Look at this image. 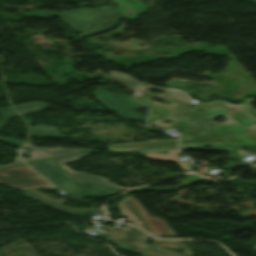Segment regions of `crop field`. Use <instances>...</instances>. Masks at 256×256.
I'll list each match as a JSON object with an SVG mask.
<instances>
[{
  "mask_svg": "<svg viewBox=\"0 0 256 256\" xmlns=\"http://www.w3.org/2000/svg\"><path fill=\"white\" fill-rule=\"evenodd\" d=\"M92 94L106 108L116 110L119 117L142 122L146 121V116L138 113L136 110L143 105L135 102L127 95L109 93L101 87L95 89Z\"/></svg>",
  "mask_w": 256,
  "mask_h": 256,
  "instance_id": "6",
  "label": "crop field"
},
{
  "mask_svg": "<svg viewBox=\"0 0 256 256\" xmlns=\"http://www.w3.org/2000/svg\"><path fill=\"white\" fill-rule=\"evenodd\" d=\"M94 153H96V152H88V153H84V154H79V155L54 159L53 161L56 162L59 166H61L65 170H67L68 172H70L71 174H73L74 176H76L78 179L90 181V182H93V183H97V184H100V185H104V186L115 188V189L122 190V191H125V190L129 189V188H126V187H123V186L113 184V183L109 182L108 179H105V178H101V177H98V176H95V175H92V174H88V173H85V172H74L69 167L65 166L66 163L76 161L79 158L83 157L84 155H89V154H94Z\"/></svg>",
  "mask_w": 256,
  "mask_h": 256,
  "instance_id": "9",
  "label": "crop field"
},
{
  "mask_svg": "<svg viewBox=\"0 0 256 256\" xmlns=\"http://www.w3.org/2000/svg\"><path fill=\"white\" fill-rule=\"evenodd\" d=\"M166 150H169L168 154L150 153V151H166ZM173 150H177V149L142 150V151L146 153L145 154L146 156L152 159L176 162L179 164L180 168L184 170L187 163L174 160Z\"/></svg>",
  "mask_w": 256,
  "mask_h": 256,
  "instance_id": "14",
  "label": "crop field"
},
{
  "mask_svg": "<svg viewBox=\"0 0 256 256\" xmlns=\"http://www.w3.org/2000/svg\"><path fill=\"white\" fill-rule=\"evenodd\" d=\"M136 100L150 107L148 124L157 127L174 128L183 131L179 146H226L229 145L210 122L190 111L174 105H161L139 95ZM161 120L171 121L164 124Z\"/></svg>",
  "mask_w": 256,
  "mask_h": 256,
  "instance_id": "2",
  "label": "crop field"
},
{
  "mask_svg": "<svg viewBox=\"0 0 256 256\" xmlns=\"http://www.w3.org/2000/svg\"><path fill=\"white\" fill-rule=\"evenodd\" d=\"M103 227L111 229L110 239L120 248L131 252L142 253L143 256H147L145 255V247L148 246H145V242L150 239V236L142 230L133 226L125 228ZM147 254L151 256H185L174 250L153 247H148Z\"/></svg>",
  "mask_w": 256,
  "mask_h": 256,
  "instance_id": "5",
  "label": "crop field"
},
{
  "mask_svg": "<svg viewBox=\"0 0 256 256\" xmlns=\"http://www.w3.org/2000/svg\"><path fill=\"white\" fill-rule=\"evenodd\" d=\"M24 148L31 150V157L23 159L25 163L43 160L47 158L62 156L66 154L82 152L92 149H81V148H50V149H43L35 147L32 144L26 145Z\"/></svg>",
  "mask_w": 256,
  "mask_h": 256,
  "instance_id": "11",
  "label": "crop field"
},
{
  "mask_svg": "<svg viewBox=\"0 0 256 256\" xmlns=\"http://www.w3.org/2000/svg\"><path fill=\"white\" fill-rule=\"evenodd\" d=\"M109 77L122 85L139 92L140 95L151 98L159 97L171 104L185 108L197 114L205 116L218 129L230 145L256 144V109L251 103L256 100L249 98L244 100L241 107L228 106V102L213 101L211 103L194 104L187 93L177 89H162L153 85L138 82L137 80L117 72H110ZM145 88H142V87ZM140 87L141 89H137ZM156 88L166 91L165 94L153 95L148 89ZM223 116L229 120L227 123L214 124L213 120Z\"/></svg>",
  "mask_w": 256,
  "mask_h": 256,
  "instance_id": "1",
  "label": "crop field"
},
{
  "mask_svg": "<svg viewBox=\"0 0 256 256\" xmlns=\"http://www.w3.org/2000/svg\"><path fill=\"white\" fill-rule=\"evenodd\" d=\"M25 195L31 196L34 200L59 211L72 213L76 215H89V214L105 215V213L102 210H97V209H74V208L64 207L62 206V204L66 202L65 200L52 199L49 196L38 191L27 193ZM53 202H56V204H53Z\"/></svg>",
  "mask_w": 256,
  "mask_h": 256,
  "instance_id": "10",
  "label": "crop field"
},
{
  "mask_svg": "<svg viewBox=\"0 0 256 256\" xmlns=\"http://www.w3.org/2000/svg\"><path fill=\"white\" fill-rule=\"evenodd\" d=\"M128 199L131 200L134 207L141 214V216L147 222V224L149 225L152 231H150L146 227V225L142 222V220L139 218V216L131 207ZM117 205H118V208L121 209L122 215H124L125 217L133 221L135 224H137L141 228L148 231L150 234L155 236H176L175 233L172 231V229L169 227V225L166 223V221L148 216L147 211L143 209V207L140 205V203L137 201L136 198L131 196L125 197L123 200L117 203Z\"/></svg>",
  "mask_w": 256,
  "mask_h": 256,
  "instance_id": "7",
  "label": "crop field"
},
{
  "mask_svg": "<svg viewBox=\"0 0 256 256\" xmlns=\"http://www.w3.org/2000/svg\"><path fill=\"white\" fill-rule=\"evenodd\" d=\"M245 147L248 148L249 152L256 154V146H245Z\"/></svg>",
  "mask_w": 256,
  "mask_h": 256,
  "instance_id": "19",
  "label": "crop field"
},
{
  "mask_svg": "<svg viewBox=\"0 0 256 256\" xmlns=\"http://www.w3.org/2000/svg\"><path fill=\"white\" fill-rule=\"evenodd\" d=\"M6 109V111H3V109H0V113L3 116V120H0V130L3 128V126L5 125L6 121L8 120L9 117L12 116H17V112L13 109V107L11 108H4ZM0 141H4V142H8V143H12V144H16V145H20L22 146L23 144H25V142L13 139V138H3L0 137Z\"/></svg>",
  "mask_w": 256,
  "mask_h": 256,
  "instance_id": "15",
  "label": "crop field"
},
{
  "mask_svg": "<svg viewBox=\"0 0 256 256\" xmlns=\"http://www.w3.org/2000/svg\"><path fill=\"white\" fill-rule=\"evenodd\" d=\"M29 166L60 189L67 190L69 194H75L79 199L83 197L109 196L118 193V191L109 188L77 180L49 160L29 164Z\"/></svg>",
  "mask_w": 256,
  "mask_h": 256,
  "instance_id": "4",
  "label": "crop field"
},
{
  "mask_svg": "<svg viewBox=\"0 0 256 256\" xmlns=\"http://www.w3.org/2000/svg\"><path fill=\"white\" fill-rule=\"evenodd\" d=\"M50 106L51 105L44 104L41 102H36V103L27 104V105L17 106L16 108L19 110V112L22 115H25V114L36 113V112L44 110Z\"/></svg>",
  "mask_w": 256,
  "mask_h": 256,
  "instance_id": "16",
  "label": "crop field"
},
{
  "mask_svg": "<svg viewBox=\"0 0 256 256\" xmlns=\"http://www.w3.org/2000/svg\"><path fill=\"white\" fill-rule=\"evenodd\" d=\"M152 147H177V140L148 141V142H143L139 144L109 145L107 148L110 151H123V150L138 151L141 148H152Z\"/></svg>",
  "mask_w": 256,
  "mask_h": 256,
  "instance_id": "12",
  "label": "crop field"
},
{
  "mask_svg": "<svg viewBox=\"0 0 256 256\" xmlns=\"http://www.w3.org/2000/svg\"><path fill=\"white\" fill-rule=\"evenodd\" d=\"M198 180H201V178L197 177V176H194L192 174H187L186 176V180L183 182V186L177 188V189H180V188H183V187H186L188 185V183H191V182H196ZM177 189H158V188H143V189H139V191H142V190H155V191H165V190H177Z\"/></svg>",
  "mask_w": 256,
  "mask_h": 256,
  "instance_id": "17",
  "label": "crop field"
},
{
  "mask_svg": "<svg viewBox=\"0 0 256 256\" xmlns=\"http://www.w3.org/2000/svg\"><path fill=\"white\" fill-rule=\"evenodd\" d=\"M22 161L18 155V157L16 158V160L14 161V163H11V164H7V165H0V168H3V167H7V166H12V165H17V164H21Z\"/></svg>",
  "mask_w": 256,
  "mask_h": 256,
  "instance_id": "18",
  "label": "crop field"
},
{
  "mask_svg": "<svg viewBox=\"0 0 256 256\" xmlns=\"http://www.w3.org/2000/svg\"><path fill=\"white\" fill-rule=\"evenodd\" d=\"M58 127H50L45 125H38L32 127V130L30 132V136L34 137H66L60 133L57 132ZM49 129H52L49 131Z\"/></svg>",
  "mask_w": 256,
  "mask_h": 256,
  "instance_id": "13",
  "label": "crop field"
},
{
  "mask_svg": "<svg viewBox=\"0 0 256 256\" xmlns=\"http://www.w3.org/2000/svg\"><path fill=\"white\" fill-rule=\"evenodd\" d=\"M0 184L18 190L55 188L25 165L0 170Z\"/></svg>",
  "mask_w": 256,
  "mask_h": 256,
  "instance_id": "8",
  "label": "crop field"
},
{
  "mask_svg": "<svg viewBox=\"0 0 256 256\" xmlns=\"http://www.w3.org/2000/svg\"><path fill=\"white\" fill-rule=\"evenodd\" d=\"M80 13L83 15L79 16ZM92 13V15H90ZM60 16L72 30L84 31V36L109 31L117 26L121 16L113 8H82L66 12H48L36 10L26 12L23 17ZM91 25H95L91 27Z\"/></svg>",
  "mask_w": 256,
  "mask_h": 256,
  "instance_id": "3",
  "label": "crop field"
}]
</instances>
